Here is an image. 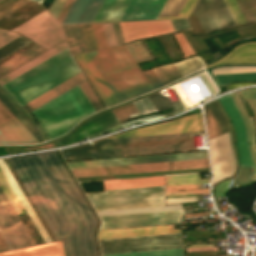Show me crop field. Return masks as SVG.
Instances as JSON below:
<instances>
[{
    "instance_id": "obj_68",
    "label": "crop field",
    "mask_w": 256,
    "mask_h": 256,
    "mask_svg": "<svg viewBox=\"0 0 256 256\" xmlns=\"http://www.w3.org/2000/svg\"><path fill=\"white\" fill-rule=\"evenodd\" d=\"M195 247H208V246H204V245H190V248H195Z\"/></svg>"
},
{
    "instance_id": "obj_14",
    "label": "crop field",
    "mask_w": 256,
    "mask_h": 256,
    "mask_svg": "<svg viewBox=\"0 0 256 256\" xmlns=\"http://www.w3.org/2000/svg\"><path fill=\"white\" fill-rule=\"evenodd\" d=\"M15 221L17 227L15 226ZM0 226L10 240L14 249L34 245L32 237L23 223L16 216L14 209L0 187Z\"/></svg>"
},
{
    "instance_id": "obj_52",
    "label": "crop field",
    "mask_w": 256,
    "mask_h": 256,
    "mask_svg": "<svg viewBox=\"0 0 256 256\" xmlns=\"http://www.w3.org/2000/svg\"><path fill=\"white\" fill-rule=\"evenodd\" d=\"M256 71L255 67H224L213 70L214 75Z\"/></svg>"
},
{
    "instance_id": "obj_4",
    "label": "crop field",
    "mask_w": 256,
    "mask_h": 256,
    "mask_svg": "<svg viewBox=\"0 0 256 256\" xmlns=\"http://www.w3.org/2000/svg\"><path fill=\"white\" fill-rule=\"evenodd\" d=\"M78 72L65 49L2 87L22 106Z\"/></svg>"
},
{
    "instance_id": "obj_29",
    "label": "crop field",
    "mask_w": 256,
    "mask_h": 256,
    "mask_svg": "<svg viewBox=\"0 0 256 256\" xmlns=\"http://www.w3.org/2000/svg\"><path fill=\"white\" fill-rule=\"evenodd\" d=\"M185 0H167L157 19L176 18ZM196 0H186L177 18H187Z\"/></svg>"
},
{
    "instance_id": "obj_47",
    "label": "crop field",
    "mask_w": 256,
    "mask_h": 256,
    "mask_svg": "<svg viewBox=\"0 0 256 256\" xmlns=\"http://www.w3.org/2000/svg\"><path fill=\"white\" fill-rule=\"evenodd\" d=\"M79 87L81 88V90L83 91L84 95L86 96V98L88 99L90 104L92 105V107L95 110V112L103 109V106L101 105V103L99 102V100L97 99L95 94L92 92V90L90 89V87L88 86L86 81L80 83Z\"/></svg>"
},
{
    "instance_id": "obj_20",
    "label": "crop field",
    "mask_w": 256,
    "mask_h": 256,
    "mask_svg": "<svg viewBox=\"0 0 256 256\" xmlns=\"http://www.w3.org/2000/svg\"><path fill=\"white\" fill-rule=\"evenodd\" d=\"M124 41L171 32L170 20L119 23Z\"/></svg>"
},
{
    "instance_id": "obj_22",
    "label": "crop field",
    "mask_w": 256,
    "mask_h": 256,
    "mask_svg": "<svg viewBox=\"0 0 256 256\" xmlns=\"http://www.w3.org/2000/svg\"><path fill=\"white\" fill-rule=\"evenodd\" d=\"M203 110L208 139L229 131L226 118L216 100L204 105Z\"/></svg>"
},
{
    "instance_id": "obj_62",
    "label": "crop field",
    "mask_w": 256,
    "mask_h": 256,
    "mask_svg": "<svg viewBox=\"0 0 256 256\" xmlns=\"http://www.w3.org/2000/svg\"><path fill=\"white\" fill-rule=\"evenodd\" d=\"M174 31L189 28L186 19L171 20Z\"/></svg>"
},
{
    "instance_id": "obj_44",
    "label": "crop field",
    "mask_w": 256,
    "mask_h": 256,
    "mask_svg": "<svg viewBox=\"0 0 256 256\" xmlns=\"http://www.w3.org/2000/svg\"><path fill=\"white\" fill-rule=\"evenodd\" d=\"M29 42H31V41L20 36V37L14 39L13 41L9 42L8 44L2 46L0 48V59L7 56L8 54L14 52L15 50L19 49L20 47L26 45Z\"/></svg>"
},
{
    "instance_id": "obj_40",
    "label": "crop field",
    "mask_w": 256,
    "mask_h": 256,
    "mask_svg": "<svg viewBox=\"0 0 256 256\" xmlns=\"http://www.w3.org/2000/svg\"><path fill=\"white\" fill-rule=\"evenodd\" d=\"M0 185L4 190L6 196L8 197L9 201L11 202L12 206L16 210L17 214L25 213L23 206L19 202L18 198L16 197L15 193L13 192L6 178L2 174L1 170H0Z\"/></svg>"
},
{
    "instance_id": "obj_17",
    "label": "crop field",
    "mask_w": 256,
    "mask_h": 256,
    "mask_svg": "<svg viewBox=\"0 0 256 256\" xmlns=\"http://www.w3.org/2000/svg\"><path fill=\"white\" fill-rule=\"evenodd\" d=\"M120 127L111 111L102 113L77 128L71 135L57 141L58 147L69 145L88 136V138Z\"/></svg>"
},
{
    "instance_id": "obj_56",
    "label": "crop field",
    "mask_w": 256,
    "mask_h": 256,
    "mask_svg": "<svg viewBox=\"0 0 256 256\" xmlns=\"http://www.w3.org/2000/svg\"><path fill=\"white\" fill-rule=\"evenodd\" d=\"M102 24H103V28H104V31H105V34H106L108 45L111 46V45L118 44L117 40H116V37H115V34H114L112 24L111 23H102Z\"/></svg>"
},
{
    "instance_id": "obj_61",
    "label": "crop field",
    "mask_w": 256,
    "mask_h": 256,
    "mask_svg": "<svg viewBox=\"0 0 256 256\" xmlns=\"http://www.w3.org/2000/svg\"><path fill=\"white\" fill-rule=\"evenodd\" d=\"M152 71L154 72V74L156 75V77L158 78V80L160 81L162 86H164V85L169 83V81L165 77V75L162 72V70L160 69V67L152 68Z\"/></svg>"
},
{
    "instance_id": "obj_41",
    "label": "crop field",
    "mask_w": 256,
    "mask_h": 256,
    "mask_svg": "<svg viewBox=\"0 0 256 256\" xmlns=\"http://www.w3.org/2000/svg\"><path fill=\"white\" fill-rule=\"evenodd\" d=\"M102 256H183L182 249L176 250H162V251H149V252H135V253H122V254H108Z\"/></svg>"
},
{
    "instance_id": "obj_42",
    "label": "crop field",
    "mask_w": 256,
    "mask_h": 256,
    "mask_svg": "<svg viewBox=\"0 0 256 256\" xmlns=\"http://www.w3.org/2000/svg\"><path fill=\"white\" fill-rule=\"evenodd\" d=\"M125 48L129 52L135 63L150 59V56L148 55L140 41L125 45Z\"/></svg>"
},
{
    "instance_id": "obj_21",
    "label": "crop field",
    "mask_w": 256,
    "mask_h": 256,
    "mask_svg": "<svg viewBox=\"0 0 256 256\" xmlns=\"http://www.w3.org/2000/svg\"><path fill=\"white\" fill-rule=\"evenodd\" d=\"M75 58L105 101L108 107L117 104V101L115 100V96L113 97L112 93L102 80L101 76L91 63L90 59L86 55V53L75 55Z\"/></svg>"
},
{
    "instance_id": "obj_63",
    "label": "crop field",
    "mask_w": 256,
    "mask_h": 256,
    "mask_svg": "<svg viewBox=\"0 0 256 256\" xmlns=\"http://www.w3.org/2000/svg\"><path fill=\"white\" fill-rule=\"evenodd\" d=\"M208 76V75H207ZM206 76L205 73L200 74V77L202 78V80L204 81V83L206 84V86L208 87V89L210 90V92L213 94H215L217 92V89L213 86V84L211 83V81L208 79V77Z\"/></svg>"
},
{
    "instance_id": "obj_13",
    "label": "crop field",
    "mask_w": 256,
    "mask_h": 256,
    "mask_svg": "<svg viewBox=\"0 0 256 256\" xmlns=\"http://www.w3.org/2000/svg\"><path fill=\"white\" fill-rule=\"evenodd\" d=\"M198 131H204L201 114H193L179 118L172 122L159 123L151 126L134 129L110 138L173 134Z\"/></svg>"
},
{
    "instance_id": "obj_31",
    "label": "crop field",
    "mask_w": 256,
    "mask_h": 256,
    "mask_svg": "<svg viewBox=\"0 0 256 256\" xmlns=\"http://www.w3.org/2000/svg\"><path fill=\"white\" fill-rule=\"evenodd\" d=\"M164 185V177L104 181L105 190Z\"/></svg>"
},
{
    "instance_id": "obj_46",
    "label": "crop field",
    "mask_w": 256,
    "mask_h": 256,
    "mask_svg": "<svg viewBox=\"0 0 256 256\" xmlns=\"http://www.w3.org/2000/svg\"><path fill=\"white\" fill-rule=\"evenodd\" d=\"M179 189H197V185H190V186H166V196L181 195V194H193V193H209L208 189L173 191V190H179Z\"/></svg>"
},
{
    "instance_id": "obj_69",
    "label": "crop field",
    "mask_w": 256,
    "mask_h": 256,
    "mask_svg": "<svg viewBox=\"0 0 256 256\" xmlns=\"http://www.w3.org/2000/svg\"><path fill=\"white\" fill-rule=\"evenodd\" d=\"M35 1H38L40 4H41V2H42V0H35Z\"/></svg>"
},
{
    "instance_id": "obj_34",
    "label": "crop field",
    "mask_w": 256,
    "mask_h": 256,
    "mask_svg": "<svg viewBox=\"0 0 256 256\" xmlns=\"http://www.w3.org/2000/svg\"><path fill=\"white\" fill-rule=\"evenodd\" d=\"M234 100L237 104V107L242 115V117L245 120L246 123V127H247V131H248V140H249V145H250V150L252 153V158H253V164H254V168H253V178L252 179H256V145H255V136H254V127H253V119L252 117L248 118L243 107L242 104L239 100V97L237 95L236 92L232 93Z\"/></svg>"
},
{
    "instance_id": "obj_64",
    "label": "crop field",
    "mask_w": 256,
    "mask_h": 256,
    "mask_svg": "<svg viewBox=\"0 0 256 256\" xmlns=\"http://www.w3.org/2000/svg\"><path fill=\"white\" fill-rule=\"evenodd\" d=\"M112 24H113V27H114V30H115V33H116L118 43L119 44L124 43L120 28H119V24L118 23H112Z\"/></svg>"
},
{
    "instance_id": "obj_58",
    "label": "crop field",
    "mask_w": 256,
    "mask_h": 256,
    "mask_svg": "<svg viewBox=\"0 0 256 256\" xmlns=\"http://www.w3.org/2000/svg\"><path fill=\"white\" fill-rule=\"evenodd\" d=\"M18 36L19 35L15 34L13 32H9V31L0 29V47Z\"/></svg>"
},
{
    "instance_id": "obj_32",
    "label": "crop field",
    "mask_w": 256,
    "mask_h": 256,
    "mask_svg": "<svg viewBox=\"0 0 256 256\" xmlns=\"http://www.w3.org/2000/svg\"><path fill=\"white\" fill-rule=\"evenodd\" d=\"M72 54L87 51L79 24L63 25Z\"/></svg>"
},
{
    "instance_id": "obj_5",
    "label": "crop field",
    "mask_w": 256,
    "mask_h": 256,
    "mask_svg": "<svg viewBox=\"0 0 256 256\" xmlns=\"http://www.w3.org/2000/svg\"><path fill=\"white\" fill-rule=\"evenodd\" d=\"M32 112L49 139H53L94 110L77 85Z\"/></svg>"
},
{
    "instance_id": "obj_54",
    "label": "crop field",
    "mask_w": 256,
    "mask_h": 256,
    "mask_svg": "<svg viewBox=\"0 0 256 256\" xmlns=\"http://www.w3.org/2000/svg\"><path fill=\"white\" fill-rule=\"evenodd\" d=\"M174 37H175L178 45L180 46V48H181L185 57L194 55V52L192 51L191 47L189 46V44L185 40L182 33L175 34ZM182 58H184V57H182Z\"/></svg>"
},
{
    "instance_id": "obj_8",
    "label": "crop field",
    "mask_w": 256,
    "mask_h": 256,
    "mask_svg": "<svg viewBox=\"0 0 256 256\" xmlns=\"http://www.w3.org/2000/svg\"><path fill=\"white\" fill-rule=\"evenodd\" d=\"M102 254L182 248L180 233L99 240Z\"/></svg>"
},
{
    "instance_id": "obj_45",
    "label": "crop field",
    "mask_w": 256,
    "mask_h": 256,
    "mask_svg": "<svg viewBox=\"0 0 256 256\" xmlns=\"http://www.w3.org/2000/svg\"><path fill=\"white\" fill-rule=\"evenodd\" d=\"M114 114L116 115L119 122L125 121L128 119H132L135 117H139L137 110L135 109L133 103L121 107L119 109L113 110ZM141 116V115H140Z\"/></svg>"
},
{
    "instance_id": "obj_49",
    "label": "crop field",
    "mask_w": 256,
    "mask_h": 256,
    "mask_svg": "<svg viewBox=\"0 0 256 256\" xmlns=\"http://www.w3.org/2000/svg\"><path fill=\"white\" fill-rule=\"evenodd\" d=\"M240 97L247 100L255 118L256 124V88L246 89L238 92Z\"/></svg>"
},
{
    "instance_id": "obj_39",
    "label": "crop field",
    "mask_w": 256,
    "mask_h": 256,
    "mask_svg": "<svg viewBox=\"0 0 256 256\" xmlns=\"http://www.w3.org/2000/svg\"><path fill=\"white\" fill-rule=\"evenodd\" d=\"M220 86L238 81H256V72L214 76Z\"/></svg>"
},
{
    "instance_id": "obj_35",
    "label": "crop field",
    "mask_w": 256,
    "mask_h": 256,
    "mask_svg": "<svg viewBox=\"0 0 256 256\" xmlns=\"http://www.w3.org/2000/svg\"><path fill=\"white\" fill-rule=\"evenodd\" d=\"M36 45L29 48L28 50L22 52L21 54L15 56L14 58L8 60L7 62L1 64L0 65V76L7 73L10 70H12L13 68L19 66L20 64L26 62L27 60L33 58L34 56L38 55L39 53L45 51L44 49H42Z\"/></svg>"
},
{
    "instance_id": "obj_37",
    "label": "crop field",
    "mask_w": 256,
    "mask_h": 256,
    "mask_svg": "<svg viewBox=\"0 0 256 256\" xmlns=\"http://www.w3.org/2000/svg\"><path fill=\"white\" fill-rule=\"evenodd\" d=\"M209 183V179H200L199 174L167 176L166 185H189Z\"/></svg>"
},
{
    "instance_id": "obj_67",
    "label": "crop field",
    "mask_w": 256,
    "mask_h": 256,
    "mask_svg": "<svg viewBox=\"0 0 256 256\" xmlns=\"http://www.w3.org/2000/svg\"><path fill=\"white\" fill-rule=\"evenodd\" d=\"M210 215V211L185 215V218Z\"/></svg>"
},
{
    "instance_id": "obj_6",
    "label": "crop field",
    "mask_w": 256,
    "mask_h": 256,
    "mask_svg": "<svg viewBox=\"0 0 256 256\" xmlns=\"http://www.w3.org/2000/svg\"><path fill=\"white\" fill-rule=\"evenodd\" d=\"M95 211L163 205L164 186L86 194Z\"/></svg>"
},
{
    "instance_id": "obj_9",
    "label": "crop field",
    "mask_w": 256,
    "mask_h": 256,
    "mask_svg": "<svg viewBox=\"0 0 256 256\" xmlns=\"http://www.w3.org/2000/svg\"><path fill=\"white\" fill-rule=\"evenodd\" d=\"M36 43L49 48L64 40L61 25L46 11L13 29Z\"/></svg>"
},
{
    "instance_id": "obj_27",
    "label": "crop field",
    "mask_w": 256,
    "mask_h": 256,
    "mask_svg": "<svg viewBox=\"0 0 256 256\" xmlns=\"http://www.w3.org/2000/svg\"><path fill=\"white\" fill-rule=\"evenodd\" d=\"M0 256H64L61 242L0 253Z\"/></svg>"
},
{
    "instance_id": "obj_16",
    "label": "crop field",
    "mask_w": 256,
    "mask_h": 256,
    "mask_svg": "<svg viewBox=\"0 0 256 256\" xmlns=\"http://www.w3.org/2000/svg\"><path fill=\"white\" fill-rule=\"evenodd\" d=\"M206 158L207 152H205ZM204 152L99 160L100 167L205 158ZM70 169L99 167L98 160L67 163Z\"/></svg>"
},
{
    "instance_id": "obj_18",
    "label": "crop field",
    "mask_w": 256,
    "mask_h": 256,
    "mask_svg": "<svg viewBox=\"0 0 256 256\" xmlns=\"http://www.w3.org/2000/svg\"><path fill=\"white\" fill-rule=\"evenodd\" d=\"M219 101L234 126L240 166L253 167L251 154L249 152L246 127L234 101L231 96L228 95L220 98Z\"/></svg>"
},
{
    "instance_id": "obj_43",
    "label": "crop field",
    "mask_w": 256,
    "mask_h": 256,
    "mask_svg": "<svg viewBox=\"0 0 256 256\" xmlns=\"http://www.w3.org/2000/svg\"><path fill=\"white\" fill-rule=\"evenodd\" d=\"M247 22H256V0H237Z\"/></svg>"
},
{
    "instance_id": "obj_24",
    "label": "crop field",
    "mask_w": 256,
    "mask_h": 256,
    "mask_svg": "<svg viewBox=\"0 0 256 256\" xmlns=\"http://www.w3.org/2000/svg\"><path fill=\"white\" fill-rule=\"evenodd\" d=\"M175 232H180V231L173 230L172 225L161 226V227L105 230V231L98 232V238L104 239V238L128 237V236H139V235L175 233Z\"/></svg>"
},
{
    "instance_id": "obj_15",
    "label": "crop field",
    "mask_w": 256,
    "mask_h": 256,
    "mask_svg": "<svg viewBox=\"0 0 256 256\" xmlns=\"http://www.w3.org/2000/svg\"><path fill=\"white\" fill-rule=\"evenodd\" d=\"M228 135L236 167V158L233 150L230 132L228 133ZM229 141L227 133L209 141L213 169L212 183L225 177L231 176L235 170Z\"/></svg>"
},
{
    "instance_id": "obj_1",
    "label": "crop field",
    "mask_w": 256,
    "mask_h": 256,
    "mask_svg": "<svg viewBox=\"0 0 256 256\" xmlns=\"http://www.w3.org/2000/svg\"><path fill=\"white\" fill-rule=\"evenodd\" d=\"M7 159L66 256H98V221L56 151Z\"/></svg>"
},
{
    "instance_id": "obj_3",
    "label": "crop field",
    "mask_w": 256,
    "mask_h": 256,
    "mask_svg": "<svg viewBox=\"0 0 256 256\" xmlns=\"http://www.w3.org/2000/svg\"><path fill=\"white\" fill-rule=\"evenodd\" d=\"M87 55L118 103L152 90L124 46L88 52Z\"/></svg>"
},
{
    "instance_id": "obj_10",
    "label": "crop field",
    "mask_w": 256,
    "mask_h": 256,
    "mask_svg": "<svg viewBox=\"0 0 256 256\" xmlns=\"http://www.w3.org/2000/svg\"><path fill=\"white\" fill-rule=\"evenodd\" d=\"M209 167L208 159L72 170L75 177Z\"/></svg>"
},
{
    "instance_id": "obj_25",
    "label": "crop field",
    "mask_w": 256,
    "mask_h": 256,
    "mask_svg": "<svg viewBox=\"0 0 256 256\" xmlns=\"http://www.w3.org/2000/svg\"><path fill=\"white\" fill-rule=\"evenodd\" d=\"M84 79V76L80 72L22 107L27 112H29L42 105L43 103L49 101L50 99L56 97L57 95L63 93L64 91L70 89L71 87L77 85L78 83L84 81Z\"/></svg>"
},
{
    "instance_id": "obj_55",
    "label": "crop field",
    "mask_w": 256,
    "mask_h": 256,
    "mask_svg": "<svg viewBox=\"0 0 256 256\" xmlns=\"http://www.w3.org/2000/svg\"><path fill=\"white\" fill-rule=\"evenodd\" d=\"M161 69L165 73L170 83L182 78L181 75L176 70V68L173 66V64L161 66Z\"/></svg>"
},
{
    "instance_id": "obj_66",
    "label": "crop field",
    "mask_w": 256,
    "mask_h": 256,
    "mask_svg": "<svg viewBox=\"0 0 256 256\" xmlns=\"http://www.w3.org/2000/svg\"><path fill=\"white\" fill-rule=\"evenodd\" d=\"M0 236H1L2 240L4 241L5 245L7 246L8 250H12L13 247L10 244L9 240L7 239V237L5 236V234L2 231L1 227H0Z\"/></svg>"
},
{
    "instance_id": "obj_48",
    "label": "crop field",
    "mask_w": 256,
    "mask_h": 256,
    "mask_svg": "<svg viewBox=\"0 0 256 256\" xmlns=\"http://www.w3.org/2000/svg\"><path fill=\"white\" fill-rule=\"evenodd\" d=\"M88 51L96 50L97 45L90 24H80Z\"/></svg>"
},
{
    "instance_id": "obj_26",
    "label": "crop field",
    "mask_w": 256,
    "mask_h": 256,
    "mask_svg": "<svg viewBox=\"0 0 256 256\" xmlns=\"http://www.w3.org/2000/svg\"><path fill=\"white\" fill-rule=\"evenodd\" d=\"M65 48H67V46L66 42L64 41L57 46L51 48L50 50L44 52L43 54L37 56L36 58L30 60L29 62L23 64L22 66L16 68L15 70L9 72L8 74L2 76L0 78V85L2 86L6 84L7 82L18 77L19 75L23 74L24 72L40 64L41 62L45 61L46 59L50 58L51 56L55 55L56 53L62 51Z\"/></svg>"
},
{
    "instance_id": "obj_36",
    "label": "crop field",
    "mask_w": 256,
    "mask_h": 256,
    "mask_svg": "<svg viewBox=\"0 0 256 256\" xmlns=\"http://www.w3.org/2000/svg\"><path fill=\"white\" fill-rule=\"evenodd\" d=\"M209 171V168L77 178L78 181Z\"/></svg>"
},
{
    "instance_id": "obj_50",
    "label": "crop field",
    "mask_w": 256,
    "mask_h": 256,
    "mask_svg": "<svg viewBox=\"0 0 256 256\" xmlns=\"http://www.w3.org/2000/svg\"><path fill=\"white\" fill-rule=\"evenodd\" d=\"M134 105L141 116L156 111L148 97L134 102Z\"/></svg>"
},
{
    "instance_id": "obj_38",
    "label": "crop field",
    "mask_w": 256,
    "mask_h": 256,
    "mask_svg": "<svg viewBox=\"0 0 256 256\" xmlns=\"http://www.w3.org/2000/svg\"><path fill=\"white\" fill-rule=\"evenodd\" d=\"M203 61L200 57H194L182 62L175 63L182 77L202 68Z\"/></svg>"
},
{
    "instance_id": "obj_11",
    "label": "crop field",
    "mask_w": 256,
    "mask_h": 256,
    "mask_svg": "<svg viewBox=\"0 0 256 256\" xmlns=\"http://www.w3.org/2000/svg\"><path fill=\"white\" fill-rule=\"evenodd\" d=\"M182 211H164L100 217V229L180 223Z\"/></svg>"
},
{
    "instance_id": "obj_33",
    "label": "crop field",
    "mask_w": 256,
    "mask_h": 256,
    "mask_svg": "<svg viewBox=\"0 0 256 256\" xmlns=\"http://www.w3.org/2000/svg\"><path fill=\"white\" fill-rule=\"evenodd\" d=\"M0 101L13 113V115L31 132L39 141H44L36 127L28 118L13 104V102L0 90Z\"/></svg>"
},
{
    "instance_id": "obj_51",
    "label": "crop field",
    "mask_w": 256,
    "mask_h": 256,
    "mask_svg": "<svg viewBox=\"0 0 256 256\" xmlns=\"http://www.w3.org/2000/svg\"><path fill=\"white\" fill-rule=\"evenodd\" d=\"M97 41L98 48L107 47V41L101 23L91 24Z\"/></svg>"
},
{
    "instance_id": "obj_23",
    "label": "crop field",
    "mask_w": 256,
    "mask_h": 256,
    "mask_svg": "<svg viewBox=\"0 0 256 256\" xmlns=\"http://www.w3.org/2000/svg\"><path fill=\"white\" fill-rule=\"evenodd\" d=\"M224 63H256V42H247L236 47L227 55L209 66H215Z\"/></svg>"
},
{
    "instance_id": "obj_59",
    "label": "crop field",
    "mask_w": 256,
    "mask_h": 256,
    "mask_svg": "<svg viewBox=\"0 0 256 256\" xmlns=\"http://www.w3.org/2000/svg\"><path fill=\"white\" fill-rule=\"evenodd\" d=\"M230 180L224 181V182H222V183H220L216 186V189H215V196L216 197L224 196V194L228 190L227 186H228Z\"/></svg>"
},
{
    "instance_id": "obj_65",
    "label": "crop field",
    "mask_w": 256,
    "mask_h": 256,
    "mask_svg": "<svg viewBox=\"0 0 256 256\" xmlns=\"http://www.w3.org/2000/svg\"><path fill=\"white\" fill-rule=\"evenodd\" d=\"M72 1H73V0H68L67 3L65 4L63 10L61 11V13H60V15H59V17H58V19H57L60 23H61V21H62L64 15L66 14V12H67L69 6L71 5Z\"/></svg>"
},
{
    "instance_id": "obj_7",
    "label": "crop field",
    "mask_w": 256,
    "mask_h": 256,
    "mask_svg": "<svg viewBox=\"0 0 256 256\" xmlns=\"http://www.w3.org/2000/svg\"><path fill=\"white\" fill-rule=\"evenodd\" d=\"M130 0H104L94 19L120 18ZM166 0H131L120 21L156 19ZM119 21V19L92 22Z\"/></svg>"
},
{
    "instance_id": "obj_12",
    "label": "crop field",
    "mask_w": 256,
    "mask_h": 256,
    "mask_svg": "<svg viewBox=\"0 0 256 256\" xmlns=\"http://www.w3.org/2000/svg\"><path fill=\"white\" fill-rule=\"evenodd\" d=\"M193 11L205 33L236 25L223 0H199Z\"/></svg>"
},
{
    "instance_id": "obj_30",
    "label": "crop field",
    "mask_w": 256,
    "mask_h": 256,
    "mask_svg": "<svg viewBox=\"0 0 256 256\" xmlns=\"http://www.w3.org/2000/svg\"><path fill=\"white\" fill-rule=\"evenodd\" d=\"M148 97L151 100V102L153 103V105L155 106V108L157 109V111L171 108V107H173V109L165 114H162V115H151V116H147L144 118L129 121L126 123H122V126H126L132 122H140V121L157 118V117L164 116V115L173 114L175 112H178V111H181L184 109V107L180 101L171 102L170 99L168 98V96H162L159 92L154 95L148 96Z\"/></svg>"
},
{
    "instance_id": "obj_53",
    "label": "crop field",
    "mask_w": 256,
    "mask_h": 256,
    "mask_svg": "<svg viewBox=\"0 0 256 256\" xmlns=\"http://www.w3.org/2000/svg\"><path fill=\"white\" fill-rule=\"evenodd\" d=\"M236 24L246 23L234 0H224Z\"/></svg>"
},
{
    "instance_id": "obj_19",
    "label": "crop field",
    "mask_w": 256,
    "mask_h": 256,
    "mask_svg": "<svg viewBox=\"0 0 256 256\" xmlns=\"http://www.w3.org/2000/svg\"><path fill=\"white\" fill-rule=\"evenodd\" d=\"M38 141L0 102V144H33Z\"/></svg>"
},
{
    "instance_id": "obj_2",
    "label": "crop field",
    "mask_w": 256,
    "mask_h": 256,
    "mask_svg": "<svg viewBox=\"0 0 256 256\" xmlns=\"http://www.w3.org/2000/svg\"><path fill=\"white\" fill-rule=\"evenodd\" d=\"M194 150L192 134L99 140L63 149L65 161Z\"/></svg>"
},
{
    "instance_id": "obj_28",
    "label": "crop field",
    "mask_w": 256,
    "mask_h": 256,
    "mask_svg": "<svg viewBox=\"0 0 256 256\" xmlns=\"http://www.w3.org/2000/svg\"><path fill=\"white\" fill-rule=\"evenodd\" d=\"M0 168L4 175L6 176L7 180L11 184L12 188L16 192L17 196L21 200L25 210L27 211L28 215L30 216L31 220L33 221L34 225L36 226L37 230L41 234L42 238L44 239L45 243L51 242L50 237L46 233L45 229L43 228L42 224L38 220L37 216L35 215L34 211L30 207L29 203L27 202L26 198L24 197L23 193L19 189L18 185L16 184L15 180L11 176L10 172L8 171L7 167L3 163L2 159H0Z\"/></svg>"
},
{
    "instance_id": "obj_60",
    "label": "crop field",
    "mask_w": 256,
    "mask_h": 256,
    "mask_svg": "<svg viewBox=\"0 0 256 256\" xmlns=\"http://www.w3.org/2000/svg\"><path fill=\"white\" fill-rule=\"evenodd\" d=\"M144 74L146 75V77L148 78V80L150 81L154 89L161 87V84L159 83V81L157 80V78L155 77L151 69L144 71Z\"/></svg>"
},
{
    "instance_id": "obj_57",
    "label": "crop field",
    "mask_w": 256,
    "mask_h": 256,
    "mask_svg": "<svg viewBox=\"0 0 256 256\" xmlns=\"http://www.w3.org/2000/svg\"><path fill=\"white\" fill-rule=\"evenodd\" d=\"M66 1L67 0H55L48 12L57 19Z\"/></svg>"
}]
</instances>
